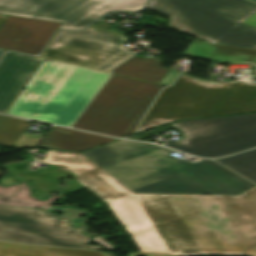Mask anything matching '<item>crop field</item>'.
<instances>
[{"instance_id":"obj_4","label":"crop field","mask_w":256,"mask_h":256,"mask_svg":"<svg viewBox=\"0 0 256 256\" xmlns=\"http://www.w3.org/2000/svg\"><path fill=\"white\" fill-rule=\"evenodd\" d=\"M251 111H256V85L180 74L172 87L162 90L136 133L180 119Z\"/></svg>"},{"instance_id":"obj_24","label":"crop field","mask_w":256,"mask_h":256,"mask_svg":"<svg viewBox=\"0 0 256 256\" xmlns=\"http://www.w3.org/2000/svg\"><path fill=\"white\" fill-rule=\"evenodd\" d=\"M108 254V256H115L114 254L110 253V252H106Z\"/></svg>"},{"instance_id":"obj_9","label":"crop field","mask_w":256,"mask_h":256,"mask_svg":"<svg viewBox=\"0 0 256 256\" xmlns=\"http://www.w3.org/2000/svg\"><path fill=\"white\" fill-rule=\"evenodd\" d=\"M148 0H0V14L59 21L60 29H82L108 11H134Z\"/></svg>"},{"instance_id":"obj_11","label":"crop field","mask_w":256,"mask_h":256,"mask_svg":"<svg viewBox=\"0 0 256 256\" xmlns=\"http://www.w3.org/2000/svg\"><path fill=\"white\" fill-rule=\"evenodd\" d=\"M61 24L9 16L0 30V48L38 54Z\"/></svg>"},{"instance_id":"obj_16","label":"crop field","mask_w":256,"mask_h":256,"mask_svg":"<svg viewBox=\"0 0 256 256\" xmlns=\"http://www.w3.org/2000/svg\"><path fill=\"white\" fill-rule=\"evenodd\" d=\"M0 256H104L90 251L0 242Z\"/></svg>"},{"instance_id":"obj_18","label":"crop field","mask_w":256,"mask_h":256,"mask_svg":"<svg viewBox=\"0 0 256 256\" xmlns=\"http://www.w3.org/2000/svg\"><path fill=\"white\" fill-rule=\"evenodd\" d=\"M30 121L0 115V143L13 146Z\"/></svg>"},{"instance_id":"obj_10","label":"crop field","mask_w":256,"mask_h":256,"mask_svg":"<svg viewBox=\"0 0 256 256\" xmlns=\"http://www.w3.org/2000/svg\"><path fill=\"white\" fill-rule=\"evenodd\" d=\"M81 230L67 226V220L47 217L41 210L0 205V240L59 245L92 250Z\"/></svg>"},{"instance_id":"obj_14","label":"crop field","mask_w":256,"mask_h":256,"mask_svg":"<svg viewBox=\"0 0 256 256\" xmlns=\"http://www.w3.org/2000/svg\"><path fill=\"white\" fill-rule=\"evenodd\" d=\"M117 139L53 126L38 147L83 151Z\"/></svg>"},{"instance_id":"obj_22","label":"crop field","mask_w":256,"mask_h":256,"mask_svg":"<svg viewBox=\"0 0 256 256\" xmlns=\"http://www.w3.org/2000/svg\"><path fill=\"white\" fill-rule=\"evenodd\" d=\"M7 18L8 16L6 15H0V28L2 27Z\"/></svg>"},{"instance_id":"obj_20","label":"crop field","mask_w":256,"mask_h":256,"mask_svg":"<svg viewBox=\"0 0 256 256\" xmlns=\"http://www.w3.org/2000/svg\"><path fill=\"white\" fill-rule=\"evenodd\" d=\"M242 23H246L252 26H256V13L248 17L246 20H244Z\"/></svg>"},{"instance_id":"obj_25","label":"crop field","mask_w":256,"mask_h":256,"mask_svg":"<svg viewBox=\"0 0 256 256\" xmlns=\"http://www.w3.org/2000/svg\"><path fill=\"white\" fill-rule=\"evenodd\" d=\"M3 52H4V50H1V49H0V57H1V55H2Z\"/></svg>"},{"instance_id":"obj_7","label":"crop field","mask_w":256,"mask_h":256,"mask_svg":"<svg viewBox=\"0 0 256 256\" xmlns=\"http://www.w3.org/2000/svg\"><path fill=\"white\" fill-rule=\"evenodd\" d=\"M169 128L182 139L166 146L199 157H221L256 146V113L184 120L129 139L139 140Z\"/></svg>"},{"instance_id":"obj_23","label":"crop field","mask_w":256,"mask_h":256,"mask_svg":"<svg viewBox=\"0 0 256 256\" xmlns=\"http://www.w3.org/2000/svg\"><path fill=\"white\" fill-rule=\"evenodd\" d=\"M93 27H99V28H106V29H109V26L108 24H103V23H100L99 25H92Z\"/></svg>"},{"instance_id":"obj_17","label":"crop field","mask_w":256,"mask_h":256,"mask_svg":"<svg viewBox=\"0 0 256 256\" xmlns=\"http://www.w3.org/2000/svg\"><path fill=\"white\" fill-rule=\"evenodd\" d=\"M216 161L256 183V149Z\"/></svg>"},{"instance_id":"obj_26","label":"crop field","mask_w":256,"mask_h":256,"mask_svg":"<svg viewBox=\"0 0 256 256\" xmlns=\"http://www.w3.org/2000/svg\"><path fill=\"white\" fill-rule=\"evenodd\" d=\"M252 1L256 2V0H252Z\"/></svg>"},{"instance_id":"obj_3","label":"crop field","mask_w":256,"mask_h":256,"mask_svg":"<svg viewBox=\"0 0 256 256\" xmlns=\"http://www.w3.org/2000/svg\"><path fill=\"white\" fill-rule=\"evenodd\" d=\"M109 74L44 62L7 114L70 126Z\"/></svg>"},{"instance_id":"obj_6","label":"crop field","mask_w":256,"mask_h":256,"mask_svg":"<svg viewBox=\"0 0 256 256\" xmlns=\"http://www.w3.org/2000/svg\"><path fill=\"white\" fill-rule=\"evenodd\" d=\"M162 87L113 75L73 127L117 137L130 135Z\"/></svg>"},{"instance_id":"obj_15","label":"crop field","mask_w":256,"mask_h":256,"mask_svg":"<svg viewBox=\"0 0 256 256\" xmlns=\"http://www.w3.org/2000/svg\"><path fill=\"white\" fill-rule=\"evenodd\" d=\"M162 62L163 60L155 56L150 58L134 56L115 68L112 73L158 83L167 72V69L160 67Z\"/></svg>"},{"instance_id":"obj_8","label":"crop field","mask_w":256,"mask_h":256,"mask_svg":"<svg viewBox=\"0 0 256 256\" xmlns=\"http://www.w3.org/2000/svg\"><path fill=\"white\" fill-rule=\"evenodd\" d=\"M126 40L113 31L94 28L60 31L41 56L108 72L132 55L123 47Z\"/></svg>"},{"instance_id":"obj_1","label":"crop field","mask_w":256,"mask_h":256,"mask_svg":"<svg viewBox=\"0 0 256 256\" xmlns=\"http://www.w3.org/2000/svg\"><path fill=\"white\" fill-rule=\"evenodd\" d=\"M104 200L140 252L128 256H256V186L239 196L135 194L81 153L47 150Z\"/></svg>"},{"instance_id":"obj_13","label":"crop field","mask_w":256,"mask_h":256,"mask_svg":"<svg viewBox=\"0 0 256 256\" xmlns=\"http://www.w3.org/2000/svg\"><path fill=\"white\" fill-rule=\"evenodd\" d=\"M183 55L233 64L248 63L256 66L255 49L193 41ZM253 76L256 78V70L253 72Z\"/></svg>"},{"instance_id":"obj_19","label":"crop field","mask_w":256,"mask_h":256,"mask_svg":"<svg viewBox=\"0 0 256 256\" xmlns=\"http://www.w3.org/2000/svg\"><path fill=\"white\" fill-rule=\"evenodd\" d=\"M105 240H106V238H104L102 235L93 237V242L94 243H99V244H101L104 247L109 248V249H115L110 244L106 243Z\"/></svg>"},{"instance_id":"obj_2","label":"crop field","mask_w":256,"mask_h":256,"mask_svg":"<svg viewBox=\"0 0 256 256\" xmlns=\"http://www.w3.org/2000/svg\"><path fill=\"white\" fill-rule=\"evenodd\" d=\"M172 151L119 140L82 154L135 193L238 195L256 185L212 160L189 164Z\"/></svg>"},{"instance_id":"obj_21","label":"crop field","mask_w":256,"mask_h":256,"mask_svg":"<svg viewBox=\"0 0 256 256\" xmlns=\"http://www.w3.org/2000/svg\"><path fill=\"white\" fill-rule=\"evenodd\" d=\"M15 181L16 180H14V179L5 177L3 180L0 181V184L5 185V184L12 183V182H15Z\"/></svg>"},{"instance_id":"obj_5","label":"crop field","mask_w":256,"mask_h":256,"mask_svg":"<svg viewBox=\"0 0 256 256\" xmlns=\"http://www.w3.org/2000/svg\"><path fill=\"white\" fill-rule=\"evenodd\" d=\"M147 9L169 16V27L194 37L256 49V27L240 23L256 12L249 1L151 0Z\"/></svg>"},{"instance_id":"obj_12","label":"crop field","mask_w":256,"mask_h":256,"mask_svg":"<svg viewBox=\"0 0 256 256\" xmlns=\"http://www.w3.org/2000/svg\"><path fill=\"white\" fill-rule=\"evenodd\" d=\"M45 59L15 52L0 63V112L6 113Z\"/></svg>"},{"instance_id":"obj_27","label":"crop field","mask_w":256,"mask_h":256,"mask_svg":"<svg viewBox=\"0 0 256 256\" xmlns=\"http://www.w3.org/2000/svg\"><path fill=\"white\" fill-rule=\"evenodd\" d=\"M1 174V173H0Z\"/></svg>"}]
</instances>
